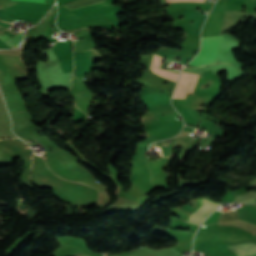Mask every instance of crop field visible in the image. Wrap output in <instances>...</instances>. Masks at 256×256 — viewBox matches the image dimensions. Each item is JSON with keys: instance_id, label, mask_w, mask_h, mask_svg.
<instances>
[{"instance_id": "obj_5", "label": "crop field", "mask_w": 256, "mask_h": 256, "mask_svg": "<svg viewBox=\"0 0 256 256\" xmlns=\"http://www.w3.org/2000/svg\"><path fill=\"white\" fill-rule=\"evenodd\" d=\"M147 108L150 113L180 117L171 105H153Z\"/></svg>"}, {"instance_id": "obj_9", "label": "crop field", "mask_w": 256, "mask_h": 256, "mask_svg": "<svg viewBox=\"0 0 256 256\" xmlns=\"http://www.w3.org/2000/svg\"><path fill=\"white\" fill-rule=\"evenodd\" d=\"M16 1H28V2H42V3H45L46 0H16Z\"/></svg>"}, {"instance_id": "obj_3", "label": "crop field", "mask_w": 256, "mask_h": 256, "mask_svg": "<svg viewBox=\"0 0 256 256\" xmlns=\"http://www.w3.org/2000/svg\"><path fill=\"white\" fill-rule=\"evenodd\" d=\"M201 11L197 10H185L184 11V19L189 21H194V24L190 23L188 33L187 34H194L200 35V26L202 25L206 15L201 14Z\"/></svg>"}, {"instance_id": "obj_10", "label": "crop field", "mask_w": 256, "mask_h": 256, "mask_svg": "<svg viewBox=\"0 0 256 256\" xmlns=\"http://www.w3.org/2000/svg\"><path fill=\"white\" fill-rule=\"evenodd\" d=\"M178 133H179V132H178ZM178 133H177V134H178Z\"/></svg>"}, {"instance_id": "obj_8", "label": "crop field", "mask_w": 256, "mask_h": 256, "mask_svg": "<svg viewBox=\"0 0 256 256\" xmlns=\"http://www.w3.org/2000/svg\"><path fill=\"white\" fill-rule=\"evenodd\" d=\"M192 131V128L188 127V126H185L182 130V132L180 134H178L177 136L175 137H178V136H181V135H184V134H187V133H190ZM173 137V138H175Z\"/></svg>"}, {"instance_id": "obj_7", "label": "crop field", "mask_w": 256, "mask_h": 256, "mask_svg": "<svg viewBox=\"0 0 256 256\" xmlns=\"http://www.w3.org/2000/svg\"><path fill=\"white\" fill-rule=\"evenodd\" d=\"M14 12L8 9H0V20L12 22Z\"/></svg>"}, {"instance_id": "obj_1", "label": "crop field", "mask_w": 256, "mask_h": 256, "mask_svg": "<svg viewBox=\"0 0 256 256\" xmlns=\"http://www.w3.org/2000/svg\"><path fill=\"white\" fill-rule=\"evenodd\" d=\"M222 38V35L216 37H203L202 51L193 59L190 64L195 66H203L205 64L214 63Z\"/></svg>"}, {"instance_id": "obj_2", "label": "crop field", "mask_w": 256, "mask_h": 256, "mask_svg": "<svg viewBox=\"0 0 256 256\" xmlns=\"http://www.w3.org/2000/svg\"><path fill=\"white\" fill-rule=\"evenodd\" d=\"M218 205L219 204L213 201L201 199V206L189 216L187 221L200 225L202 221L217 208Z\"/></svg>"}, {"instance_id": "obj_6", "label": "crop field", "mask_w": 256, "mask_h": 256, "mask_svg": "<svg viewBox=\"0 0 256 256\" xmlns=\"http://www.w3.org/2000/svg\"><path fill=\"white\" fill-rule=\"evenodd\" d=\"M22 37H23V34H18L12 39L5 35L3 36L0 35V39L3 40L11 48H17L16 46L20 43Z\"/></svg>"}, {"instance_id": "obj_4", "label": "crop field", "mask_w": 256, "mask_h": 256, "mask_svg": "<svg viewBox=\"0 0 256 256\" xmlns=\"http://www.w3.org/2000/svg\"><path fill=\"white\" fill-rule=\"evenodd\" d=\"M235 254L239 256L256 255V242L255 243H241L228 247Z\"/></svg>"}]
</instances>
